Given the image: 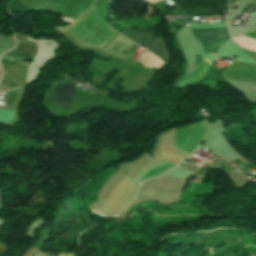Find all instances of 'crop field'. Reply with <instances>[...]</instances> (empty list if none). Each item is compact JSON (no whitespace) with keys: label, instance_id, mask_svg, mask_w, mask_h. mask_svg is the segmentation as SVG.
I'll list each match as a JSON object with an SVG mask.
<instances>
[{"label":"crop field","instance_id":"crop-field-10","mask_svg":"<svg viewBox=\"0 0 256 256\" xmlns=\"http://www.w3.org/2000/svg\"><path fill=\"white\" fill-rule=\"evenodd\" d=\"M230 1H233V0H230Z\"/></svg>","mask_w":256,"mask_h":256},{"label":"crop field","instance_id":"crop-field-11","mask_svg":"<svg viewBox=\"0 0 256 256\" xmlns=\"http://www.w3.org/2000/svg\"><path fill=\"white\" fill-rule=\"evenodd\" d=\"M55 256H57V255H55Z\"/></svg>","mask_w":256,"mask_h":256},{"label":"crop field","instance_id":"crop-field-7","mask_svg":"<svg viewBox=\"0 0 256 256\" xmlns=\"http://www.w3.org/2000/svg\"><path fill=\"white\" fill-rule=\"evenodd\" d=\"M251 57H253L256 60V53L255 52H251L248 50H245Z\"/></svg>","mask_w":256,"mask_h":256},{"label":"crop field","instance_id":"crop-field-5","mask_svg":"<svg viewBox=\"0 0 256 256\" xmlns=\"http://www.w3.org/2000/svg\"><path fill=\"white\" fill-rule=\"evenodd\" d=\"M205 61L211 63L210 60L206 59ZM211 67L210 64L206 63V62H202L198 68L195 70L194 73L189 74V75H185V76H177L173 87L176 88H182V87H187L190 86L191 84L201 80V78L203 77V75L208 71V69Z\"/></svg>","mask_w":256,"mask_h":256},{"label":"crop field","instance_id":"crop-field-2","mask_svg":"<svg viewBox=\"0 0 256 256\" xmlns=\"http://www.w3.org/2000/svg\"><path fill=\"white\" fill-rule=\"evenodd\" d=\"M186 15H221V6H227V0H173Z\"/></svg>","mask_w":256,"mask_h":256},{"label":"crop field","instance_id":"crop-field-4","mask_svg":"<svg viewBox=\"0 0 256 256\" xmlns=\"http://www.w3.org/2000/svg\"><path fill=\"white\" fill-rule=\"evenodd\" d=\"M196 39H214V38H229L227 29H195L191 28ZM230 39H214V40H198L206 54L217 53L222 45L228 42ZM216 55V54H212Z\"/></svg>","mask_w":256,"mask_h":256},{"label":"crop field","instance_id":"crop-field-9","mask_svg":"<svg viewBox=\"0 0 256 256\" xmlns=\"http://www.w3.org/2000/svg\"><path fill=\"white\" fill-rule=\"evenodd\" d=\"M1 249H3V248L0 247V250H1Z\"/></svg>","mask_w":256,"mask_h":256},{"label":"crop field","instance_id":"crop-field-8","mask_svg":"<svg viewBox=\"0 0 256 256\" xmlns=\"http://www.w3.org/2000/svg\"><path fill=\"white\" fill-rule=\"evenodd\" d=\"M146 1H148L150 4H155V3H157V2H160V1H163V0H146Z\"/></svg>","mask_w":256,"mask_h":256},{"label":"crop field","instance_id":"crop-field-6","mask_svg":"<svg viewBox=\"0 0 256 256\" xmlns=\"http://www.w3.org/2000/svg\"><path fill=\"white\" fill-rule=\"evenodd\" d=\"M74 93L75 91L71 85L63 84L55 88L53 99L58 107H60L62 110H65L69 99Z\"/></svg>","mask_w":256,"mask_h":256},{"label":"crop field","instance_id":"crop-field-3","mask_svg":"<svg viewBox=\"0 0 256 256\" xmlns=\"http://www.w3.org/2000/svg\"><path fill=\"white\" fill-rule=\"evenodd\" d=\"M154 31H137V30H131L127 29L123 33L124 36H126L128 39L134 41L139 46L143 47L146 46L150 52L164 60L165 62L168 61V50L164 44V41L162 38L154 36ZM154 38L152 39V37Z\"/></svg>","mask_w":256,"mask_h":256},{"label":"crop field","instance_id":"crop-field-1","mask_svg":"<svg viewBox=\"0 0 256 256\" xmlns=\"http://www.w3.org/2000/svg\"><path fill=\"white\" fill-rule=\"evenodd\" d=\"M36 45L27 40L19 41L17 47L1 56L3 78L1 81L22 85L25 83L27 65L21 61L34 58Z\"/></svg>","mask_w":256,"mask_h":256}]
</instances>
